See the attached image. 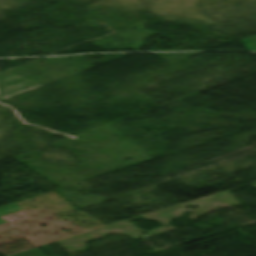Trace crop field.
I'll list each match as a JSON object with an SVG mask.
<instances>
[{
  "label": "crop field",
  "instance_id": "crop-field-1",
  "mask_svg": "<svg viewBox=\"0 0 256 256\" xmlns=\"http://www.w3.org/2000/svg\"><path fill=\"white\" fill-rule=\"evenodd\" d=\"M18 211H22V209L16 203H14V204H11V205L1 207L0 208V216L15 213V212H18ZM4 222H7V221L0 219V224L4 223Z\"/></svg>",
  "mask_w": 256,
  "mask_h": 256
},
{
  "label": "crop field",
  "instance_id": "crop-field-2",
  "mask_svg": "<svg viewBox=\"0 0 256 256\" xmlns=\"http://www.w3.org/2000/svg\"><path fill=\"white\" fill-rule=\"evenodd\" d=\"M13 256H45V255L40 253L38 250L34 249V250H30V251L23 252Z\"/></svg>",
  "mask_w": 256,
  "mask_h": 256
}]
</instances>
